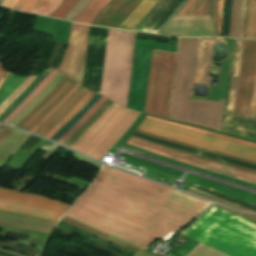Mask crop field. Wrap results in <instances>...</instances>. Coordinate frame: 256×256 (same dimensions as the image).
<instances>
[{"mask_svg": "<svg viewBox=\"0 0 256 256\" xmlns=\"http://www.w3.org/2000/svg\"><path fill=\"white\" fill-rule=\"evenodd\" d=\"M53 68H49L41 78L21 97V99L3 116L0 120L2 122L21 102L22 100L45 78V76L52 70Z\"/></svg>", "mask_w": 256, "mask_h": 256, "instance_id": "obj_35", "label": "crop field"}, {"mask_svg": "<svg viewBox=\"0 0 256 256\" xmlns=\"http://www.w3.org/2000/svg\"><path fill=\"white\" fill-rule=\"evenodd\" d=\"M106 100L105 97H101L97 103L67 132L65 133L58 142L64 143L77 129H79L95 112L96 110L103 104Z\"/></svg>", "mask_w": 256, "mask_h": 256, "instance_id": "obj_29", "label": "crop field"}, {"mask_svg": "<svg viewBox=\"0 0 256 256\" xmlns=\"http://www.w3.org/2000/svg\"><path fill=\"white\" fill-rule=\"evenodd\" d=\"M188 191L193 192V193L198 194V195H201V196L206 197V198H208V199H211V200L220 202V203H222V204H225V205L234 207V208H236V209H238V210L249 211V210L244 209V208H242V207L236 206V205H234V204H231V203H229V202H226V201L221 200V199H219V198H216V197H214V196H211V195H208V194H205V193H202V192L193 190V189H191V188H189Z\"/></svg>", "mask_w": 256, "mask_h": 256, "instance_id": "obj_38", "label": "crop field"}, {"mask_svg": "<svg viewBox=\"0 0 256 256\" xmlns=\"http://www.w3.org/2000/svg\"><path fill=\"white\" fill-rule=\"evenodd\" d=\"M249 117L256 118V72H255V79H254V86H253V93H252Z\"/></svg>", "mask_w": 256, "mask_h": 256, "instance_id": "obj_44", "label": "crop field"}, {"mask_svg": "<svg viewBox=\"0 0 256 256\" xmlns=\"http://www.w3.org/2000/svg\"><path fill=\"white\" fill-rule=\"evenodd\" d=\"M223 132L256 140V120L226 112Z\"/></svg>", "mask_w": 256, "mask_h": 256, "instance_id": "obj_14", "label": "crop field"}, {"mask_svg": "<svg viewBox=\"0 0 256 256\" xmlns=\"http://www.w3.org/2000/svg\"><path fill=\"white\" fill-rule=\"evenodd\" d=\"M216 207H219V208H221V209H225V210L234 212V213H236V214H238V215H241V216H243V217H246V218H248V219L253 220V221L256 222V214H243V213H240V212H237V211H233V210H230V209H227V208L218 206V205H216Z\"/></svg>", "mask_w": 256, "mask_h": 256, "instance_id": "obj_45", "label": "crop field"}, {"mask_svg": "<svg viewBox=\"0 0 256 256\" xmlns=\"http://www.w3.org/2000/svg\"><path fill=\"white\" fill-rule=\"evenodd\" d=\"M0 224L52 234L56 223L27 216L0 212Z\"/></svg>", "mask_w": 256, "mask_h": 256, "instance_id": "obj_13", "label": "crop field"}, {"mask_svg": "<svg viewBox=\"0 0 256 256\" xmlns=\"http://www.w3.org/2000/svg\"><path fill=\"white\" fill-rule=\"evenodd\" d=\"M112 102L106 100L104 104L97 110V112L78 130L76 131L65 143L64 145L70 147L81 135H83L92 124L101 116V114L108 108Z\"/></svg>", "mask_w": 256, "mask_h": 256, "instance_id": "obj_26", "label": "crop field"}, {"mask_svg": "<svg viewBox=\"0 0 256 256\" xmlns=\"http://www.w3.org/2000/svg\"><path fill=\"white\" fill-rule=\"evenodd\" d=\"M78 0H67L62 7L55 13L53 16L54 18L62 19L65 14L72 8V6L77 2Z\"/></svg>", "mask_w": 256, "mask_h": 256, "instance_id": "obj_37", "label": "crop field"}, {"mask_svg": "<svg viewBox=\"0 0 256 256\" xmlns=\"http://www.w3.org/2000/svg\"><path fill=\"white\" fill-rule=\"evenodd\" d=\"M70 205L12 190L0 189V210L57 222Z\"/></svg>", "mask_w": 256, "mask_h": 256, "instance_id": "obj_8", "label": "crop field"}, {"mask_svg": "<svg viewBox=\"0 0 256 256\" xmlns=\"http://www.w3.org/2000/svg\"><path fill=\"white\" fill-rule=\"evenodd\" d=\"M195 0H188L176 15H182ZM212 0H196L183 15L210 14Z\"/></svg>", "mask_w": 256, "mask_h": 256, "instance_id": "obj_23", "label": "crop field"}, {"mask_svg": "<svg viewBox=\"0 0 256 256\" xmlns=\"http://www.w3.org/2000/svg\"><path fill=\"white\" fill-rule=\"evenodd\" d=\"M72 157L79 158V159H81V160H83V161H85V162H87V163H89V164H91V165H93V166L99 168V169H100V167H101V165H99V164H97V163H95V162H93V161H91V160H89V159H87V158H84V157H82V156H80V155H77V154H75V153L72 155Z\"/></svg>", "mask_w": 256, "mask_h": 256, "instance_id": "obj_46", "label": "crop field"}, {"mask_svg": "<svg viewBox=\"0 0 256 256\" xmlns=\"http://www.w3.org/2000/svg\"><path fill=\"white\" fill-rule=\"evenodd\" d=\"M95 94V92L89 91L75 106L74 108L59 122L57 123L46 135L45 137H52L54 133L65 124L72 116H74L85 104L86 102Z\"/></svg>", "mask_w": 256, "mask_h": 256, "instance_id": "obj_28", "label": "crop field"}, {"mask_svg": "<svg viewBox=\"0 0 256 256\" xmlns=\"http://www.w3.org/2000/svg\"><path fill=\"white\" fill-rule=\"evenodd\" d=\"M158 120H160V119H158ZM162 121H164V120H162ZM165 122H168V121H165ZM169 123L176 124V125H179V126H183V127H186V128H190V129H193V130H197V131H200V132H204V133H207V134H211V135H215V136L223 137V138H226V139H230V140H234V141H238V142H242V143H246V144H250V145L256 146L255 143H250V142L242 141V140H239V139L231 138V137L224 136V135L217 134V133H213V132H210V131H206V130H202V129H197V128H193V127H189V126H185V125H181V124H177V123H173V122H169Z\"/></svg>", "mask_w": 256, "mask_h": 256, "instance_id": "obj_40", "label": "crop field"}, {"mask_svg": "<svg viewBox=\"0 0 256 256\" xmlns=\"http://www.w3.org/2000/svg\"><path fill=\"white\" fill-rule=\"evenodd\" d=\"M90 1L91 0H79L63 19L73 21Z\"/></svg>", "mask_w": 256, "mask_h": 256, "instance_id": "obj_34", "label": "crop field"}, {"mask_svg": "<svg viewBox=\"0 0 256 256\" xmlns=\"http://www.w3.org/2000/svg\"><path fill=\"white\" fill-rule=\"evenodd\" d=\"M127 109L115 103L111 104L71 148L99 160L139 115V112Z\"/></svg>", "mask_w": 256, "mask_h": 256, "instance_id": "obj_5", "label": "crop field"}, {"mask_svg": "<svg viewBox=\"0 0 256 256\" xmlns=\"http://www.w3.org/2000/svg\"><path fill=\"white\" fill-rule=\"evenodd\" d=\"M26 135L21 131L13 129L6 139L0 144V163L8 156L19 141Z\"/></svg>", "mask_w": 256, "mask_h": 256, "instance_id": "obj_24", "label": "crop field"}, {"mask_svg": "<svg viewBox=\"0 0 256 256\" xmlns=\"http://www.w3.org/2000/svg\"><path fill=\"white\" fill-rule=\"evenodd\" d=\"M247 0H234L229 37L242 38Z\"/></svg>", "mask_w": 256, "mask_h": 256, "instance_id": "obj_19", "label": "crop field"}, {"mask_svg": "<svg viewBox=\"0 0 256 256\" xmlns=\"http://www.w3.org/2000/svg\"><path fill=\"white\" fill-rule=\"evenodd\" d=\"M36 76L37 75L29 76L27 80L0 106V114L18 95H20L30 85Z\"/></svg>", "mask_w": 256, "mask_h": 256, "instance_id": "obj_33", "label": "crop field"}, {"mask_svg": "<svg viewBox=\"0 0 256 256\" xmlns=\"http://www.w3.org/2000/svg\"><path fill=\"white\" fill-rule=\"evenodd\" d=\"M182 233L229 256H256V224L215 207ZM202 243L187 256H227Z\"/></svg>", "mask_w": 256, "mask_h": 256, "instance_id": "obj_2", "label": "crop field"}, {"mask_svg": "<svg viewBox=\"0 0 256 256\" xmlns=\"http://www.w3.org/2000/svg\"><path fill=\"white\" fill-rule=\"evenodd\" d=\"M137 130L256 162V147L145 117Z\"/></svg>", "mask_w": 256, "mask_h": 256, "instance_id": "obj_6", "label": "crop field"}, {"mask_svg": "<svg viewBox=\"0 0 256 256\" xmlns=\"http://www.w3.org/2000/svg\"><path fill=\"white\" fill-rule=\"evenodd\" d=\"M128 140L132 141V142H135L137 144L149 147L151 149L160 151V152H164V153H167V154H170V155H174V156H177V157H180V158H184V159H187V160H190V161L201 163V164H204V165H207V166H211V167H214V168H217V169H221V170H224V171H227V172H231V173H234V174H238V175L256 180V174L251 173V172H247V171L240 170V169H237V168H233V167H230V166L222 165V164L215 163V162H212V161L204 160V159L197 158V157H194V156L178 153V152L172 151L170 149L163 148V147H160V146H157V145L145 142V141H141V140H138V139H135V138H132V137H130ZM129 141H127V144L142 148L144 150H147V151L159 154V155H162V156L170 158L172 160L179 161V162L186 163V164H189V165H193V166H196V167H200V168H203V169H206V170H210V171H213V172H216V173L228 176V177L237 178V179H241V180L256 184V181H254V180L244 178V177H241V176H238V175H234V174H231V173H227V172L217 170V169H214V168H211V167H207V166H204V165H201V164H197V163H194V162H190V161L180 159V158H177V157H174V156H170V155H167V154H164V153H160V152L151 150L149 148L137 145V144L129 142Z\"/></svg>", "mask_w": 256, "mask_h": 256, "instance_id": "obj_10", "label": "crop field"}, {"mask_svg": "<svg viewBox=\"0 0 256 256\" xmlns=\"http://www.w3.org/2000/svg\"><path fill=\"white\" fill-rule=\"evenodd\" d=\"M101 97L99 94H95L88 103L74 116L72 117L65 125H63L57 133L51 138V140L57 141L65 132H67Z\"/></svg>", "mask_w": 256, "mask_h": 256, "instance_id": "obj_25", "label": "crop field"}, {"mask_svg": "<svg viewBox=\"0 0 256 256\" xmlns=\"http://www.w3.org/2000/svg\"><path fill=\"white\" fill-rule=\"evenodd\" d=\"M176 57L153 50L144 109L149 115L168 119Z\"/></svg>", "mask_w": 256, "mask_h": 256, "instance_id": "obj_7", "label": "crop field"}, {"mask_svg": "<svg viewBox=\"0 0 256 256\" xmlns=\"http://www.w3.org/2000/svg\"><path fill=\"white\" fill-rule=\"evenodd\" d=\"M3 69H2V67L0 66V76H1V74L3 73Z\"/></svg>", "mask_w": 256, "mask_h": 256, "instance_id": "obj_50", "label": "crop field"}, {"mask_svg": "<svg viewBox=\"0 0 256 256\" xmlns=\"http://www.w3.org/2000/svg\"><path fill=\"white\" fill-rule=\"evenodd\" d=\"M27 77L11 74L0 87V104L9 97Z\"/></svg>", "mask_w": 256, "mask_h": 256, "instance_id": "obj_27", "label": "crop field"}, {"mask_svg": "<svg viewBox=\"0 0 256 256\" xmlns=\"http://www.w3.org/2000/svg\"><path fill=\"white\" fill-rule=\"evenodd\" d=\"M27 1L28 0H19L13 8L20 10ZM37 1L38 0H29L21 9V11L28 12Z\"/></svg>", "mask_w": 256, "mask_h": 256, "instance_id": "obj_41", "label": "crop field"}, {"mask_svg": "<svg viewBox=\"0 0 256 256\" xmlns=\"http://www.w3.org/2000/svg\"><path fill=\"white\" fill-rule=\"evenodd\" d=\"M132 137H133V136H132ZM135 138H137V137H135ZM139 139H140V138H139ZM142 140H144V139H142ZM145 141H147V140H145ZM148 142H150V141H148ZM151 143H154V142H151ZM155 144H157V143H155ZM158 145H161V144H158ZM161 146H164V145H161ZM164 147L173 149V150L178 151V152H182V153L194 155V156H197V157H201V158H204V159L212 160V161H215V162H219V163H222V164L230 165V166H233V167H237V168H240V169H244V170H247V171H251V172L256 173V171H253V170H250V169H246V168H243V167H239V166H236V165H232V164H229V163H226V162H222V161H219V160H215V159H211V158H207V157H203V156L191 154V153H188V152H185V151H181V150H178V149H175V148H172V147H168V146H164Z\"/></svg>", "mask_w": 256, "mask_h": 256, "instance_id": "obj_42", "label": "crop field"}, {"mask_svg": "<svg viewBox=\"0 0 256 256\" xmlns=\"http://www.w3.org/2000/svg\"><path fill=\"white\" fill-rule=\"evenodd\" d=\"M53 143H51V142H47L42 148H41V150H45V151H47L48 149H49V147L52 145Z\"/></svg>", "mask_w": 256, "mask_h": 256, "instance_id": "obj_49", "label": "crop field"}, {"mask_svg": "<svg viewBox=\"0 0 256 256\" xmlns=\"http://www.w3.org/2000/svg\"><path fill=\"white\" fill-rule=\"evenodd\" d=\"M79 85H75L71 91L31 130L34 132L77 88Z\"/></svg>", "mask_w": 256, "mask_h": 256, "instance_id": "obj_39", "label": "crop field"}, {"mask_svg": "<svg viewBox=\"0 0 256 256\" xmlns=\"http://www.w3.org/2000/svg\"><path fill=\"white\" fill-rule=\"evenodd\" d=\"M211 204L103 166L65 216L145 250Z\"/></svg>", "mask_w": 256, "mask_h": 256, "instance_id": "obj_1", "label": "crop field"}, {"mask_svg": "<svg viewBox=\"0 0 256 256\" xmlns=\"http://www.w3.org/2000/svg\"><path fill=\"white\" fill-rule=\"evenodd\" d=\"M58 71L52 70L47 77L24 99V101L3 121L9 124L51 81Z\"/></svg>", "mask_w": 256, "mask_h": 256, "instance_id": "obj_21", "label": "crop field"}, {"mask_svg": "<svg viewBox=\"0 0 256 256\" xmlns=\"http://www.w3.org/2000/svg\"><path fill=\"white\" fill-rule=\"evenodd\" d=\"M245 38L256 39V0H250Z\"/></svg>", "mask_w": 256, "mask_h": 256, "instance_id": "obj_31", "label": "crop field"}, {"mask_svg": "<svg viewBox=\"0 0 256 256\" xmlns=\"http://www.w3.org/2000/svg\"><path fill=\"white\" fill-rule=\"evenodd\" d=\"M213 39H200L194 83L207 84Z\"/></svg>", "mask_w": 256, "mask_h": 256, "instance_id": "obj_17", "label": "crop field"}, {"mask_svg": "<svg viewBox=\"0 0 256 256\" xmlns=\"http://www.w3.org/2000/svg\"><path fill=\"white\" fill-rule=\"evenodd\" d=\"M135 33L108 32L100 94L123 107L126 104Z\"/></svg>", "mask_w": 256, "mask_h": 256, "instance_id": "obj_4", "label": "crop field"}, {"mask_svg": "<svg viewBox=\"0 0 256 256\" xmlns=\"http://www.w3.org/2000/svg\"><path fill=\"white\" fill-rule=\"evenodd\" d=\"M199 39H180L169 119L220 131L224 102L189 99Z\"/></svg>", "mask_w": 256, "mask_h": 256, "instance_id": "obj_3", "label": "crop field"}, {"mask_svg": "<svg viewBox=\"0 0 256 256\" xmlns=\"http://www.w3.org/2000/svg\"><path fill=\"white\" fill-rule=\"evenodd\" d=\"M67 79L62 86L20 128L30 131L75 85Z\"/></svg>", "mask_w": 256, "mask_h": 256, "instance_id": "obj_15", "label": "crop field"}, {"mask_svg": "<svg viewBox=\"0 0 256 256\" xmlns=\"http://www.w3.org/2000/svg\"><path fill=\"white\" fill-rule=\"evenodd\" d=\"M223 3H224V0H214L213 6H212V18H213V22H214L216 35L218 37L220 34Z\"/></svg>", "mask_w": 256, "mask_h": 256, "instance_id": "obj_32", "label": "crop field"}, {"mask_svg": "<svg viewBox=\"0 0 256 256\" xmlns=\"http://www.w3.org/2000/svg\"><path fill=\"white\" fill-rule=\"evenodd\" d=\"M18 0H7L3 5L4 7L12 8Z\"/></svg>", "mask_w": 256, "mask_h": 256, "instance_id": "obj_47", "label": "crop field"}, {"mask_svg": "<svg viewBox=\"0 0 256 256\" xmlns=\"http://www.w3.org/2000/svg\"><path fill=\"white\" fill-rule=\"evenodd\" d=\"M88 91L80 86L35 133L44 136Z\"/></svg>", "mask_w": 256, "mask_h": 256, "instance_id": "obj_16", "label": "crop field"}, {"mask_svg": "<svg viewBox=\"0 0 256 256\" xmlns=\"http://www.w3.org/2000/svg\"><path fill=\"white\" fill-rule=\"evenodd\" d=\"M0 2H3V0H0Z\"/></svg>", "mask_w": 256, "mask_h": 256, "instance_id": "obj_51", "label": "crop field"}, {"mask_svg": "<svg viewBox=\"0 0 256 256\" xmlns=\"http://www.w3.org/2000/svg\"><path fill=\"white\" fill-rule=\"evenodd\" d=\"M255 64L256 41L245 40L235 113L247 117L249 114Z\"/></svg>", "mask_w": 256, "mask_h": 256, "instance_id": "obj_11", "label": "crop field"}, {"mask_svg": "<svg viewBox=\"0 0 256 256\" xmlns=\"http://www.w3.org/2000/svg\"><path fill=\"white\" fill-rule=\"evenodd\" d=\"M157 1L158 0H142V2L135 8L119 28L132 30Z\"/></svg>", "mask_w": 256, "mask_h": 256, "instance_id": "obj_20", "label": "crop field"}, {"mask_svg": "<svg viewBox=\"0 0 256 256\" xmlns=\"http://www.w3.org/2000/svg\"><path fill=\"white\" fill-rule=\"evenodd\" d=\"M110 1L111 0H92L74 21L90 24Z\"/></svg>", "mask_w": 256, "mask_h": 256, "instance_id": "obj_22", "label": "crop field"}, {"mask_svg": "<svg viewBox=\"0 0 256 256\" xmlns=\"http://www.w3.org/2000/svg\"><path fill=\"white\" fill-rule=\"evenodd\" d=\"M243 43H244V40L237 39L233 71H232V78H231V85H230L229 100H228V107H227V111L233 112V113L235 110V102H236V95H237V87H238V80H239Z\"/></svg>", "mask_w": 256, "mask_h": 256, "instance_id": "obj_18", "label": "crop field"}, {"mask_svg": "<svg viewBox=\"0 0 256 256\" xmlns=\"http://www.w3.org/2000/svg\"><path fill=\"white\" fill-rule=\"evenodd\" d=\"M62 1L63 0H39L29 12L34 13L31 11L38 10L35 14L50 16Z\"/></svg>", "mask_w": 256, "mask_h": 256, "instance_id": "obj_30", "label": "crop field"}, {"mask_svg": "<svg viewBox=\"0 0 256 256\" xmlns=\"http://www.w3.org/2000/svg\"><path fill=\"white\" fill-rule=\"evenodd\" d=\"M10 75V73L6 72L3 74V76L0 78V86L2 85V83L8 78V76Z\"/></svg>", "mask_w": 256, "mask_h": 256, "instance_id": "obj_48", "label": "crop field"}, {"mask_svg": "<svg viewBox=\"0 0 256 256\" xmlns=\"http://www.w3.org/2000/svg\"><path fill=\"white\" fill-rule=\"evenodd\" d=\"M88 30V26L72 23L69 45L56 69L79 85L82 83Z\"/></svg>", "mask_w": 256, "mask_h": 256, "instance_id": "obj_9", "label": "crop field"}, {"mask_svg": "<svg viewBox=\"0 0 256 256\" xmlns=\"http://www.w3.org/2000/svg\"><path fill=\"white\" fill-rule=\"evenodd\" d=\"M140 0H114L93 25L117 28Z\"/></svg>", "mask_w": 256, "mask_h": 256, "instance_id": "obj_12", "label": "crop field"}, {"mask_svg": "<svg viewBox=\"0 0 256 256\" xmlns=\"http://www.w3.org/2000/svg\"><path fill=\"white\" fill-rule=\"evenodd\" d=\"M67 78H68V77L65 76V77L62 79V81L55 87V89H54L43 101H41V102H40V103H39V104H38V105H37V106H36V107H35V108L17 125V127H19L36 109H38V108H39V107H40V106H41V105H42V104H43V103L61 86V84H62ZM35 112H36V111H35ZM35 112H34V113H35ZM34 113H33V114H34ZM33 114H32V115H33ZM32 115H31V116H32ZM31 116H30V117H31ZM30 117H29V118H30ZM29 118H28V119H29ZM28 119H27V120H28ZM27 120H26V121H27Z\"/></svg>", "mask_w": 256, "mask_h": 256, "instance_id": "obj_43", "label": "crop field"}, {"mask_svg": "<svg viewBox=\"0 0 256 256\" xmlns=\"http://www.w3.org/2000/svg\"><path fill=\"white\" fill-rule=\"evenodd\" d=\"M135 132H138V133H141V134H145V135H149V136H153V137H157V138L164 139V140H167V141H170V142H174V143H177V144H180V145H184V146H187V147H190V148H194V149H198V150H202V151L210 152V153H213V154H217V155L225 156V157H228V158H232V159H236V160H239V161H243V162H247V163H251V164L256 165V163L251 162V161H247V160L238 159V158L230 157V156H227V155H223V154L215 153V152H212V151H208V150H205V149H201V148L193 147V146H190V145L182 144V143H179V142H175V141H172V140H169V139H165V138H162V137H158V136L151 135V134L144 133V132L137 131V130H135Z\"/></svg>", "mask_w": 256, "mask_h": 256, "instance_id": "obj_36", "label": "crop field"}]
</instances>
